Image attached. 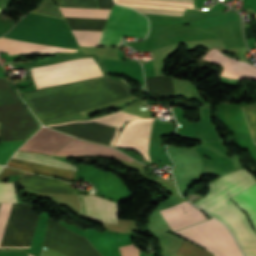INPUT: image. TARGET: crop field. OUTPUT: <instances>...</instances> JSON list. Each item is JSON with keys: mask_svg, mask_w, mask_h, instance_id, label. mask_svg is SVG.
I'll list each match as a JSON object with an SVG mask.
<instances>
[{"mask_svg": "<svg viewBox=\"0 0 256 256\" xmlns=\"http://www.w3.org/2000/svg\"><path fill=\"white\" fill-rule=\"evenodd\" d=\"M122 81L95 78L24 93L38 119L43 122L109 104L130 96Z\"/></svg>", "mask_w": 256, "mask_h": 256, "instance_id": "8a807250", "label": "crop field"}, {"mask_svg": "<svg viewBox=\"0 0 256 256\" xmlns=\"http://www.w3.org/2000/svg\"><path fill=\"white\" fill-rule=\"evenodd\" d=\"M255 183L252 174L243 168L209 183L208 194L192 201L231 229L245 256H256V234L245 215L228 198Z\"/></svg>", "mask_w": 256, "mask_h": 256, "instance_id": "ac0d7876", "label": "crop field"}, {"mask_svg": "<svg viewBox=\"0 0 256 256\" xmlns=\"http://www.w3.org/2000/svg\"><path fill=\"white\" fill-rule=\"evenodd\" d=\"M37 126L5 79L0 80V142L27 140Z\"/></svg>", "mask_w": 256, "mask_h": 256, "instance_id": "34b2d1b8", "label": "crop field"}, {"mask_svg": "<svg viewBox=\"0 0 256 256\" xmlns=\"http://www.w3.org/2000/svg\"><path fill=\"white\" fill-rule=\"evenodd\" d=\"M38 89L103 75L92 58H80L32 69Z\"/></svg>", "mask_w": 256, "mask_h": 256, "instance_id": "412701ff", "label": "crop field"}, {"mask_svg": "<svg viewBox=\"0 0 256 256\" xmlns=\"http://www.w3.org/2000/svg\"><path fill=\"white\" fill-rule=\"evenodd\" d=\"M175 232L213 252L214 256H242L229 231L214 218Z\"/></svg>", "mask_w": 256, "mask_h": 256, "instance_id": "f4fd0767", "label": "crop field"}, {"mask_svg": "<svg viewBox=\"0 0 256 256\" xmlns=\"http://www.w3.org/2000/svg\"><path fill=\"white\" fill-rule=\"evenodd\" d=\"M148 21L143 15L121 6H113L97 45H121L123 36L144 38Z\"/></svg>", "mask_w": 256, "mask_h": 256, "instance_id": "dd49c442", "label": "crop field"}, {"mask_svg": "<svg viewBox=\"0 0 256 256\" xmlns=\"http://www.w3.org/2000/svg\"><path fill=\"white\" fill-rule=\"evenodd\" d=\"M13 158L76 171L75 166L69 163L60 161L56 158L45 156V155L16 152ZM14 159H11L7 164V166L29 171V172H36V173L44 174L47 176L55 175V176L68 178V179H73L76 173L74 171H69V170H64V169H59V168H54V167H49V166H44V165L14 160Z\"/></svg>", "mask_w": 256, "mask_h": 256, "instance_id": "e52e79f7", "label": "crop field"}, {"mask_svg": "<svg viewBox=\"0 0 256 256\" xmlns=\"http://www.w3.org/2000/svg\"><path fill=\"white\" fill-rule=\"evenodd\" d=\"M79 204L83 215L98 221L116 223V203L93 195H79Z\"/></svg>", "mask_w": 256, "mask_h": 256, "instance_id": "d8731c3e", "label": "crop field"}, {"mask_svg": "<svg viewBox=\"0 0 256 256\" xmlns=\"http://www.w3.org/2000/svg\"><path fill=\"white\" fill-rule=\"evenodd\" d=\"M66 20L106 22L111 10L59 7ZM78 44L96 45L100 35H74Z\"/></svg>", "mask_w": 256, "mask_h": 256, "instance_id": "5a996713", "label": "crop field"}, {"mask_svg": "<svg viewBox=\"0 0 256 256\" xmlns=\"http://www.w3.org/2000/svg\"><path fill=\"white\" fill-rule=\"evenodd\" d=\"M71 138V136L43 127L19 150L51 154Z\"/></svg>", "mask_w": 256, "mask_h": 256, "instance_id": "3316defc", "label": "crop field"}, {"mask_svg": "<svg viewBox=\"0 0 256 256\" xmlns=\"http://www.w3.org/2000/svg\"><path fill=\"white\" fill-rule=\"evenodd\" d=\"M160 213L173 231L206 219L197 208L186 201Z\"/></svg>", "mask_w": 256, "mask_h": 256, "instance_id": "28ad6ade", "label": "crop field"}, {"mask_svg": "<svg viewBox=\"0 0 256 256\" xmlns=\"http://www.w3.org/2000/svg\"><path fill=\"white\" fill-rule=\"evenodd\" d=\"M204 59L217 62L224 66L222 76L256 80V66L225 56L215 48L209 51Z\"/></svg>", "mask_w": 256, "mask_h": 256, "instance_id": "d1516ede", "label": "crop field"}, {"mask_svg": "<svg viewBox=\"0 0 256 256\" xmlns=\"http://www.w3.org/2000/svg\"><path fill=\"white\" fill-rule=\"evenodd\" d=\"M55 155H101V156H114L118 158H122L125 160H131L125 155L107 147L97 146L90 144L85 141L71 139L61 148H59L55 153Z\"/></svg>", "mask_w": 256, "mask_h": 256, "instance_id": "22f410ed", "label": "crop field"}, {"mask_svg": "<svg viewBox=\"0 0 256 256\" xmlns=\"http://www.w3.org/2000/svg\"><path fill=\"white\" fill-rule=\"evenodd\" d=\"M21 182L29 192L76 194L75 190L67 188L69 184L53 178L38 175H23Z\"/></svg>", "mask_w": 256, "mask_h": 256, "instance_id": "cbeb9de0", "label": "crop field"}, {"mask_svg": "<svg viewBox=\"0 0 256 256\" xmlns=\"http://www.w3.org/2000/svg\"><path fill=\"white\" fill-rule=\"evenodd\" d=\"M3 51H9V55L18 53L76 52L75 50L5 39L1 37L0 52Z\"/></svg>", "mask_w": 256, "mask_h": 256, "instance_id": "5142ce71", "label": "crop field"}, {"mask_svg": "<svg viewBox=\"0 0 256 256\" xmlns=\"http://www.w3.org/2000/svg\"><path fill=\"white\" fill-rule=\"evenodd\" d=\"M230 199L236 201L249 214L256 230V184Z\"/></svg>", "mask_w": 256, "mask_h": 256, "instance_id": "d9b57169", "label": "crop field"}, {"mask_svg": "<svg viewBox=\"0 0 256 256\" xmlns=\"http://www.w3.org/2000/svg\"><path fill=\"white\" fill-rule=\"evenodd\" d=\"M32 13L62 18V15L52 0H42L40 4L32 11Z\"/></svg>", "mask_w": 256, "mask_h": 256, "instance_id": "733c2abd", "label": "crop field"}, {"mask_svg": "<svg viewBox=\"0 0 256 256\" xmlns=\"http://www.w3.org/2000/svg\"><path fill=\"white\" fill-rule=\"evenodd\" d=\"M177 254L181 256H211L208 252L182 241Z\"/></svg>", "mask_w": 256, "mask_h": 256, "instance_id": "4a817a6b", "label": "crop field"}, {"mask_svg": "<svg viewBox=\"0 0 256 256\" xmlns=\"http://www.w3.org/2000/svg\"><path fill=\"white\" fill-rule=\"evenodd\" d=\"M0 202L17 203L15 189L12 184L0 183Z\"/></svg>", "mask_w": 256, "mask_h": 256, "instance_id": "bc2a9ffb", "label": "crop field"}, {"mask_svg": "<svg viewBox=\"0 0 256 256\" xmlns=\"http://www.w3.org/2000/svg\"><path fill=\"white\" fill-rule=\"evenodd\" d=\"M160 1L193 3V0H160ZM132 8L136 9L139 12H147V13H161V14H175V15H182L183 13V11H178V10H166V9L144 8V7H132Z\"/></svg>", "mask_w": 256, "mask_h": 256, "instance_id": "214f88e0", "label": "crop field"}, {"mask_svg": "<svg viewBox=\"0 0 256 256\" xmlns=\"http://www.w3.org/2000/svg\"><path fill=\"white\" fill-rule=\"evenodd\" d=\"M64 6L98 8L96 0H62Z\"/></svg>", "mask_w": 256, "mask_h": 256, "instance_id": "92a150f3", "label": "crop field"}, {"mask_svg": "<svg viewBox=\"0 0 256 256\" xmlns=\"http://www.w3.org/2000/svg\"><path fill=\"white\" fill-rule=\"evenodd\" d=\"M12 204H1L0 207V237L7 219V216L9 214L10 208Z\"/></svg>", "mask_w": 256, "mask_h": 256, "instance_id": "dafd665d", "label": "crop field"}, {"mask_svg": "<svg viewBox=\"0 0 256 256\" xmlns=\"http://www.w3.org/2000/svg\"><path fill=\"white\" fill-rule=\"evenodd\" d=\"M21 173H23V171L4 167L0 172V182H4L5 178L8 176L19 175Z\"/></svg>", "mask_w": 256, "mask_h": 256, "instance_id": "00972430", "label": "crop field"}, {"mask_svg": "<svg viewBox=\"0 0 256 256\" xmlns=\"http://www.w3.org/2000/svg\"><path fill=\"white\" fill-rule=\"evenodd\" d=\"M122 256H139V250L133 245L119 248Z\"/></svg>", "mask_w": 256, "mask_h": 256, "instance_id": "a9b5d70f", "label": "crop field"}, {"mask_svg": "<svg viewBox=\"0 0 256 256\" xmlns=\"http://www.w3.org/2000/svg\"><path fill=\"white\" fill-rule=\"evenodd\" d=\"M11 0H0V12L5 9L6 6L10 3Z\"/></svg>", "mask_w": 256, "mask_h": 256, "instance_id": "4177f3b9", "label": "crop field"}, {"mask_svg": "<svg viewBox=\"0 0 256 256\" xmlns=\"http://www.w3.org/2000/svg\"><path fill=\"white\" fill-rule=\"evenodd\" d=\"M2 166H0V168H1Z\"/></svg>", "mask_w": 256, "mask_h": 256, "instance_id": "730fd06b", "label": "crop field"}, {"mask_svg": "<svg viewBox=\"0 0 256 256\" xmlns=\"http://www.w3.org/2000/svg\"><path fill=\"white\" fill-rule=\"evenodd\" d=\"M29 256H31V255H29Z\"/></svg>", "mask_w": 256, "mask_h": 256, "instance_id": "eef30255", "label": "crop field"}]
</instances>
